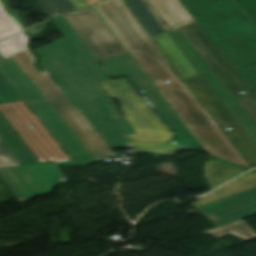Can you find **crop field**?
Segmentation results:
<instances>
[{"instance_id": "d9b57169", "label": "crop field", "mask_w": 256, "mask_h": 256, "mask_svg": "<svg viewBox=\"0 0 256 256\" xmlns=\"http://www.w3.org/2000/svg\"><path fill=\"white\" fill-rule=\"evenodd\" d=\"M204 167L205 178L212 189L245 172L244 167L219 159L206 161Z\"/></svg>"}, {"instance_id": "d3111659", "label": "crop field", "mask_w": 256, "mask_h": 256, "mask_svg": "<svg viewBox=\"0 0 256 256\" xmlns=\"http://www.w3.org/2000/svg\"><path fill=\"white\" fill-rule=\"evenodd\" d=\"M105 106L107 107V109L109 110L110 114H111V118L112 120H117V119H121L120 115L118 114V112L114 109L112 103L108 100V99H103Z\"/></svg>"}, {"instance_id": "412701ff", "label": "crop field", "mask_w": 256, "mask_h": 256, "mask_svg": "<svg viewBox=\"0 0 256 256\" xmlns=\"http://www.w3.org/2000/svg\"><path fill=\"white\" fill-rule=\"evenodd\" d=\"M157 20L175 40L182 52L192 63L199 74L206 80L215 94L229 110L238 124L256 145V123L245 111L240 103L229 92L212 68L199 54L191 42L178 28L195 22L196 20L187 11L179 0H143ZM174 26L176 29L171 28Z\"/></svg>"}, {"instance_id": "120bbe31", "label": "crop field", "mask_w": 256, "mask_h": 256, "mask_svg": "<svg viewBox=\"0 0 256 256\" xmlns=\"http://www.w3.org/2000/svg\"><path fill=\"white\" fill-rule=\"evenodd\" d=\"M3 60H5V59H4L3 56L0 54V62L3 61Z\"/></svg>"}, {"instance_id": "1d83c4d3", "label": "crop field", "mask_w": 256, "mask_h": 256, "mask_svg": "<svg viewBox=\"0 0 256 256\" xmlns=\"http://www.w3.org/2000/svg\"><path fill=\"white\" fill-rule=\"evenodd\" d=\"M89 5L97 2V1H100V0H85Z\"/></svg>"}, {"instance_id": "ac0d7876", "label": "crop field", "mask_w": 256, "mask_h": 256, "mask_svg": "<svg viewBox=\"0 0 256 256\" xmlns=\"http://www.w3.org/2000/svg\"><path fill=\"white\" fill-rule=\"evenodd\" d=\"M51 21L64 36L36 49L45 71L60 85L111 148L129 145L134 130L126 119L112 121L100 99L109 98L97 81L108 76L62 14Z\"/></svg>"}, {"instance_id": "214f88e0", "label": "crop field", "mask_w": 256, "mask_h": 256, "mask_svg": "<svg viewBox=\"0 0 256 256\" xmlns=\"http://www.w3.org/2000/svg\"><path fill=\"white\" fill-rule=\"evenodd\" d=\"M134 153L145 152L155 153L159 155H174L180 150H189L171 143H156V144H133Z\"/></svg>"}, {"instance_id": "d1516ede", "label": "crop field", "mask_w": 256, "mask_h": 256, "mask_svg": "<svg viewBox=\"0 0 256 256\" xmlns=\"http://www.w3.org/2000/svg\"><path fill=\"white\" fill-rule=\"evenodd\" d=\"M186 84L199 98L230 139L236 144L253 168L256 167V146L237 124L228 110L214 94L202 77L185 80ZM232 130L226 131L225 128Z\"/></svg>"}, {"instance_id": "e52e79f7", "label": "crop field", "mask_w": 256, "mask_h": 256, "mask_svg": "<svg viewBox=\"0 0 256 256\" xmlns=\"http://www.w3.org/2000/svg\"><path fill=\"white\" fill-rule=\"evenodd\" d=\"M100 65L106 71L109 78L125 76L138 92L141 90L145 92L143 94L139 92V94L166 123V125L170 129L176 131L175 134L179 140L174 139L171 141V143L192 149L201 147L200 143L197 141L176 111L158 91V89L140 68L129 52L100 62ZM118 68H120L122 72H120Z\"/></svg>"}, {"instance_id": "eef30255", "label": "crop field", "mask_w": 256, "mask_h": 256, "mask_svg": "<svg viewBox=\"0 0 256 256\" xmlns=\"http://www.w3.org/2000/svg\"><path fill=\"white\" fill-rule=\"evenodd\" d=\"M256 20V0H238Z\"/></svg>"}, {"instance_id": "bd1437ed", "label": "crop field", "mask_w": 256, "mask_h": 256, "mask_svg": "<svg viewBox=\"0 0 256 256\" xmlns=\"http://www.w3.org/2000/svg\"><path fill=\"white\" fill-rule=\"evenodd\" d=\"M76 8L88 6L84 0H69Z\"/></svg>"}, {"instance_id": "730fd06b", "label": "crop field", "mask_w": 256, "mask_h": 256, "mask_svg": "<svg viewBox=\"0 0 256 256\" xmlns=\"http://www.w3.org/2000/svg\"><path fill=\"white\" fill-rule=\"evenodd\" d=\"M0 10L4 11L5 13H7L10 16V18L13 20L15 26L20 31L25 29L24 25L19 21L20 19L18 20V18L15 16V14L12 12V10L5 5L3 0H0Z\"/></svg>"}, {"instance_id": "d8731c3e", "label": "crop field", "mask_w": 256, "mask_h": 256, "mask_svg": "<svg viewBox=\"0 0 256 256\" xmlns=\"http://www.w3.org/2000/svg\"><path fill=\"white\" fill-rule=\"evenodd\" d=\"M110 98L117 99L125 118L137 134L131 142L169 141L174 135L125 80L99 82Z\"/></svg>"}, {"instance_id": "8a807250", "label": "crop field", "mask_w": 256, "mask_h": 256, "mask_svg": "<svg viewBox=\"0 0 256 256\" xmlns=\"http://www.w3.org/2000/svg\"><path fill=\"white\" fill-rule=\"evenodd\" d=\"M63 15L98 62L129 51L209 153L251 169L123 0H106ZM166 80L171 83L164 84Z\"/></svg>"}, {"instance_id": "dd49c442", "label": "crop field", "mask_w": 256, "mask_h": 256, "mask_svg": "<svg viewBox=\"0 0 256 256\" xmlns=\"http://www.w3.org/2000/svg\"><path fill=\"white\" fill-rule=\"evenodd\" d=\"M12 57L94 157L114 155L58 84L46 72L38 73L35 70L32 66L34 57L29 50Z\"/></svg>"}, {"instance_id": "cbeb9de0", "label": "crop field", "mask_w": 256, "mask_h": 256, "mask_svg": "<svg viewBox=\"0 0 256 256\" xmlns=\"http://www.w3.org/2000/svg\"><path fill=\"white\" fill-rule=\"evenodd\" d=\"M153 38L171 60L176 72L182 79L199 75L167 32Z\"/></svg>"}, {"instance_id": "00972430", "label": "crop field", "mask_w": 256, "mask_h": 256, "mask_svg": "<svg viewBox=\"0 0 256 256\" xmlns=\"http://www.w3.org/2000/svg\"><path fill=\"white\" fill-rule=\"evenodd\" d=\"M16 165L21 164L0 138V167Z\"/></svg>"}, {"instance_id": "ae1a2a85", "label": "crop field", "mask_w": 256, "mask_h": 256, "mask_svg": "<svg viewBox=\"0 0 256 256\" xmlns=\"http://www.w3.org/2000/svg\"><path fill=\"white\" fill-rule=\"evenodd\" d=\"M35 1L41 7V9L44 11V13L47 15L48 18L56 14L46 0H35Z\"/></svg>"}, {"instance_id": "4a817a6b", "label": "crop field", "mask_w": 256, "mask_h": 256, "mask_svg": "<svg viewBox=\"0 0 256 256\" xmlns=\"http://www.w3.org/2000/svg\"><path fill=\"white\" fill-rule=\"evenodd\" d=\"M131 11L143 24L151 36L164 32V28L156 20L150 10L141 0H124Z\"/></svg>"}, {"instance_id": "d32e631a", "label": "crop field", "mask_w": 256, "mask_h": 256, "mask_svg": "<svg viewBox=\"0 0 256 256\" xmlns=\"http://www.w3.org/2000/svg\"><path fill=\"white\" fill-rule=\"evenodd\" d=\"M255 95H256V91H254Z\"/></svg>"}, {"instance_id": "f4fd0767", "label": "crop field", "mask_w": 256, "mask_h": 256, "mask_svg": "<svg viewBox=\"0 0 256 256\" xmlns=\"http://www.w3.org/2000/svg\"><path fill=\"white\" fill-rule=\"evenodd\" d=\"M0 71L72 160L58 162L61 167L104 162L90 154L12 57L0 63Z\"/></svg>"}, {"instance_id": "22f410ed", "label": "crop field", "mask_w": 256, "mask_h": 256, "mask_svg": "<svg viewBox=\"0 0 256 256\" xmlns=\"http://www.w3.org/2000/svg\"><path fill=\"white\" fill-rule=\"evenodd\" d=\"M203 215H213L217 228L256 215V188L197 208Z\"/></svg>"}, {"instance_id": "750c4746", "label": "crop field", "mask_w": 256, "mask_h": 256, "mask_svg": "<svg viewBox=\"0 0 256 256\" xmlns=\"http://www.w3.org/2000/svg\"><path fill=\"white\" fill-rule=\"evenodd\" d=\"M185 6L188 5H194V4H199V3H205V2H210V1H216V0H181Z\"/></svg>"}, {"instance_id": "a9b5d70f", "label": "crop field", "mask_w": 256, "mask_h": 256, "mask_svg": "<svg viewBox=\"0 0 256 256\" xmlns=\"http://www.w3.org/2000/svg\"><path fill=\"white\" fill-rule=\"evenodd\" d=\"M19 32L8 15L0 11V40Z\"/></svg>"}, {"instance_id": "4177f3b9", "label": "crop field", "mask_w": 256, "mask_h": 256, "mask_svg": "<svg viewBox=\"0 0 256 256\" xmlns=\"http://www.w3.org/2000/svg\"><path fill=\"white\" fill-rule=\"evenodd\" d=\"M56 13L75 8L68 0H47Z\"/></svg>"}, {"instance_id": "5142ce71", "label": "crop field", "mask_w": 256, "mask_h": 256, "mask_svg": "<svg viewBox=\"0 0 256 256\" xmlns=\"http://www.w3.org/2000/svg\"><path fill=\"white\" fill-rule=\"evenodd\" d=\"M0 137L22 165L40 163L0 113Z\"/></svg>"}, {"instance_id": "92a150f3", "label": "crop field", "mask_w": 256, "mask_h": 256, "mask_svg": "<svg viewBox=\"0 0 256 256\" xmlns=\"http://www.w3.org/2000/svg\"><path fill=\"white\" fill-rule=\"evenodd\" d=\"M27 42L28 39L22 33H19L0 42V53L6 59L15 53L27 50L25 47Z\"/></svg>"}, {"instance_id": "bc2a9ffb", "label": "crop field", "mask_w": 256, "mask_h": 256, "mask_svg": "<svg viewBox=\"0 0 256 256\" xmlns=\"http://www.w3.org/2000/svg\"><path fill=\"white\" fill-rule=\"evenodd\" d=\"M210 232L217 237L232 233L247 241L256 239V231L251 228L244 220L229 224Z\"/></svg>"}, {"instance_id": "733c2abd", "label": "crop field", "mask_w": 256, "mask_h": 256, "mask_svg": "<svg viewBox=\"0 0 256 256\" xmlns=\"http://www.w3.org/2000/svg\"><path fill=\"white\" fill-rule=\"evenodd\" d=\"M256 187V171L252 170L224 187L202 197L200 200L191 204L195 208Z\"/></svg>"}, {"instance_id": "28ad6ade", "label": "crop field", "mask_w": 256, "mask_h": 256, "mask_svg": "<svg viewBox=\"0 0 256 256\" xmlns=\"http://www.w3.org/2000/svg\"><path fill=\"white\" fill-rule=\"evenodd\" d=\"M0 177L18 202L52 193L65 180L55 163L0 168Z\"/></svg>"}, {"instance_id": "34b2d1b8", "label": "crop field", "mask_w": 256, "mask_h": 256, "mask_svg": "<svg viewBox=\"0 0 256 256\" xmlns=\"http://www.w3.org/2000/svg\"><path fill=\"white\" fill-rule=\"evenodd\" d=\"M188 10L213 40L238 74L256 90V24L235 0H221L194 6Z\"/></svg>"}, {"instance_id": "5a996713", "label": "crop field", "mask_w": 256, "mask_h": 256, "mask_svg": "<svg viewBox=\"0 0 256 256\" xmlns=\"http://www.w3.org/2000/svg\"><path fill=\"white\" fill-rule=\"evenodd\" d=\"M223 83L256 121V96L197 22L180 27ZM244 91L246 94L240 95ZM256 123V122H255Z\"/></svg>"}, {"instance_id": "dafd665d", "label": "crop field", "mask_w": 256, "mask_h": 256, "mask_svg": "<svg viewBox=\"0 0 256 256\" xmlns=\"http://www.w3.org/2000/svg\"><path fill=\"white\" fill-rule=\"evenodd\" d=\"M22 99L0 72V104L21 101Z\"/></svg>"}, {"instance_id": "3316defc", "label": "crop field", "mask_w": 256, "mask_h": 256, "mask_svg": "<svg viewBox=\"0 0 256 256\" xmlns=\"http://www.w3.org/2000/svg\"><path fill=\"white\" fill-rule=\"evenodd\" d=\"M0 111L44 162L70 160L24 101L0 105ZM31 125L33 128L27 126Z\"/></svg>"}]
</instances>
